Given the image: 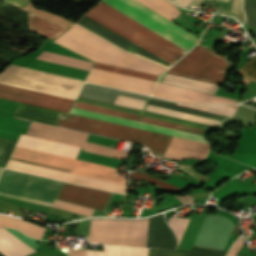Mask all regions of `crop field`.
I'll list each match as a JSON object with an SVG mask.
<instances>
[{"label": "crop field", "instance_id": "crop-field-1", "mask_svg": "<svg viewBox=\"0 0 256 256\" xmlns=\"http://www.w3.org/2000/svg\"><path fill=\"white\" fill-rule=\"evenodd\" d=\"M61 113L19 103L13 116L57 125ZM58 124L67 128L144 144L159 155H163L171 139L170 136L76 115H71L64 120L60 119Z\"/></svg>", "mask_w": 256, "mask_h": 256}, {"label": "crop field", "instance_id": "crop-field-2", "mask_svg": "<svg viewBox=\"0 0 256 256\" xmlns=\"http://www.w3.org/2000/svg\"><path fill=\"white\" fill-rule=\"evenodd\" d=\"M85 15L172 65L186 53L185 50L102 1Z\"/></svg>", "mask_w": 256, "mask_h": 256}, {"label": "crop field", "instance_id": "crop-field-3", "mask_svg": "<svg viewBox=\"0 0 256 256\" xmlns=\"http://www.w3.org/2000/svg\"><path fill=\"white\" fill-rule=\"evenodd\" d=\"M54 42L92 60L160 76L166 71L157 65L125 53L84 29L73 26Z\"/></svg>", "mask_w": 256, "mask_h": 256}, {"label": "crop field", "instance_id": "crop-field-4", "mask_svg": "<svg viewBox=\"0 0 256 256\" xmlns=\"http://www.w3.org/2000/svg\"><path fill=\"white\" fill-rule=\"evenodd\" d=\"M0 82L71 98L75 97L82 83L81 80L14 65H10L2 73H0Z\"/></svg>", "mask_w": 256, "mask_h": 256}, {"label": "crop field", "instance_id": "crop-field-5", "mask_svg": "<svg viewBox=\"0 0 256 256\" xmlns=\"http://www.w3.org/2000/svg\"><path fill=\"white\" fill-rule=\"evenodd\" d=\"M61 181L4 170L0 178V192L53 203ZM0 193V196L51 206L50 203Z\"/></svg>", "mask_w": 256, "mask_h": 256}, {"label": "crop field", "instance_id": "crop-field-6", "mask_svg": "<svg viewBox=\"0 0 256 256\" xmlns=\"http://www.w3.org/2000/svg\"><path fill=\"white\" fill-rule=\"evenodd\" d=\"M161 36L185 50H189L198 40L177 25L169 22L134 0H103ZM176 45V46H177ZM181 48V49H182ZM186 51V52H187Z\"/></svg>", "mask_w": 256, "mask_h": 256}, {"label": "crop field", "instance_id": "crop-field-7", "mask_svg": "<svg viewBox=\"0 0 256 256\" xmlns=\"http://www.w3.org/2000/svg\"><path fill=\"white\" fill-rule=\"evenodd\" d=\"M227 70V60L196 45L185 57L175 64L168 73L220 84Z\"/></svg>", "mask_w": 256, "mask_h": 256}, {"label": "crop field", "instance_id": "crop-field-8", "mask_svg": "<svg viewBox=\"0 0 256 256\" xmlns=\"http://www.w3.org/2000/svg\"><path fill=\"white\" fill-rule=\"evenodd\" d=\"M149 219L139 221L92 220L89 241L146 247Z\"/></svg>", "mask_w": 256, "mask_h": 256}, {"label": "crop field", "instance_id": "crop-field-9", "mask_svg": "<svg viewBox=\"0 0 256 256\" xmlns=\"http://www.w3.org/2000/svg\"><path fill=\"white\" fill-rule=\"evenodd\" d=\"M14 157L41 162L49 165L70 169L69 172L86 175L91 177L102 178L118 183L126 184L125 176L117 173L116 169L69 158L41 151L31 150L22 147H16Z\"/></svg>", "mask_w": 256, "mask_h": 256}, {"label": "crop field", "instance_id": "crop-field-10", "mask_svg": "<svg viewBox=\"0 0 256 256\" xmlns=\"http://www.w3.org/2000/svg\"><path fill=\"white\" fill-rule=\"evenodd\" d=\"M30 129L35 130V131L44 132V133L53 134V135L72 138V139H76V140H81V141H84L87 136L86 133L72 131V130H68V129H63V128L40 124V123H35V122L32 123ZM31 130H28V132H27L28 135L45 138V139H49V140H53V141H57V142H62V143H66V144H70V145H74V146H78V147H83V149L89 150V151L108 154V155L117 156V157H121V158H124V156L127 153V152L115 150L112 148H107V147H103V146H99V145H94V144H90V143H85V142H81V141L63 138V137L53 136V135L35 132V131H31Z\"/></svg>", "mask_w": 256, "mask_h": 256}, {"label": "crop field", "instance_id": "crop-field-11", "mask_svg": "<svg viewBox=\"0 0 256 256\" xmlns=\"http://www.w3.org/2000/svg\"><path fill=\"white\" fill-rule=\"evenodd\" d=\"M0 98L69 112L74 100L0 84Z\"/></svg>", "mask_w": 256, "mask_h": 256}, {"label": "crop field", "instance_id": "crop-field-12", "mask_svg": "<svg viewBox=\"0 0 256 256\" xmlns=\"http://www.w3.org/2000/svg\"><path fill=\"white\" fill-rule=\"evenodd\" d=\"M233 227L234 225L229 219L220 215H209L206 217L194 245L223 249Z\"/></svg>", "mask_w": 256, "mask_h": 256}, {"label": "crop field", "instance_id": "crop-field-13", "mask_svg": "<svg viewBox=\"0 0 256 256\" xmlns=\"http://www.w3.org/2000/svg\"><path fill=\"white\" fill-rule=\"evenodd\" d=\"M86 81L149 95L155 82L92 68Z\"/></svg>", "mask_w": 256, "mask_h": 256}, {"label": "crop field", "instance_id": "crop-field-14", "mask_svg": "<svg viewBox=\"0 0 256 256\" xmlns=\"http://www.w3.org/2000/svg\"><path fill=\"white\" fill-rule=\"evenodd\" d=\"M110 195L111 193L64 182L56 198L103 210Z\"/></svg>", "mask_w": 256, "mask_h": 256}, {"label": "crop field", "instance_id": "crop-field-15", "mask_svg": "<svg viewBox=\"0 0 256 256\" xmlns=\"http://www.w3.org/2000/svg\"><path fill=\"white\" fill-rule=\"evenodd\" d=\"M33 166H30L29 164L20 163V162L10 160L6 168L21 171V172H25V173L27 172L29 167L36 168V169L43 168V167L37 168L38 166L37 167H33ZM32 168L29 169V171H28L29 174H34V175H38V176H43V177H47V178H52V179H57V180H61V181L71 182V183H75V184H80V185L95 187V188H99V189L114 191V192L123 193V194H125V191H126V189H124V188L115 187L116 185L126 187L125 185H121V184H116V183H112V182H107V181H103V180L94 179V180L103 181V182H107V183H111V184H116L115 186H110L111 184L106 185L107 183L106 184H101L102 182L101 183H96L98 181L92 182L94 180L87 181L89 179H93V178H89V177H85V178H89V179L83 180L85 178H83V179H78V178H81V177H84V176H81V177H78V178H73V177L80 176V175L69 177V176H72V175H75V174H72V175H69V176H64V175H68V174H71V173L60 175V174L66 173V172H63V173H60V174H55V173H59V172H62V171L55 172V173H50V172H54V171H50L52 169L46 170L48 168L41 169V170H46V171H50V172L36 170V169H32ZM55 171H57V170H55Z\"/></svg>", "mask_w": 256, "mask_h": 256}, {"label": "crop field", "instance_id": "crop-field-16", "mask_svg": "<svg viewBox=\"0 0 256 256\" xmlns=\"http://www.w3.org/2000/svg\"><path fill=\"white\" fill-rule=\"evenodd\" d=\"M70 113L82 115V116H87L91 118H96L104 121H109V122H114V123H119L123 125H128V126H133V127H138L142 129H147L175 137H180V138H185V139H190V140H195V141H200V142H206L204 136L197 135V134H192V133H187L183 131H178V130H173L169 128H164V127H159L155 125H150V124H145L141 122H135L131 120H126V119H121L117 117H112V116H107L103 114H98V113H93L89 111H84V110H79L75 108H71Z\"/></svg>", "mask_w": 256, "mask_h": 256}, {"label": "crop field", "instance_id": "crop-field-17", "mask_svg": "<svg viewBox=\"0 0 256 256\" xmlns=\"http://www.w3.org/2000/svg\"><path fill=\"white\" fill-rule=\"evenodd\" d=\"M148 105L166 108V109H170V110H175V111H179V112H184V113H188V114L198 115V116L216 119V120H220V121H222L224 118H226L225 116H220V115L206 113V112H202V111L173 106V105L160 103V102H156V101H152V100H149ZM148 105L146 106L145 110L151 111V112H156V113H160V114H165V115H169V116H173V117H178V118H182V119L192 120V121L206 123V124L215 125V126H219V124L221 123L220 121H216V120H211V119H207V118L188 115V114L170 111V110H166V109L156 108V107H152V106H148Z\"/></svg>", "mask_w": 256, "mask_h": 256}, {"label": "crop field", "instance_id": "crop-field-18", "mask_svg": "<svg viewBox=\"0 0 256 256\" xmlns=\"http://www.w3.org/2000/svg\"><path fill=\"white\" fill-rule=\"evenodd\" d=\"M209 149L210 146L207 144L173 137L163 157L175 160L188 157L204 159Z\"/></svg>", "mask_w": 256, "mask_h": 256}, {"label": "crop field", "instance_id": "crop-field-19", "mask_svg": "<svg viewBox=\"0 0 256 256\" xmlns=\"http://www.w3.org/2000/svg\"><path fill=\"white\" fill-rule=\"evenodd\" d=\"M147 247L175 249L176 239L163 220V214L150 218Z\"/></svg>", "mask_w": 256, "mask_h": 256}, {"label": "crop field", "instance_id": "crop-field-20", "mask_svg": "<svg viewBox=\"0 0 256 256\" xmlns=\"http://www.w3.org/2000/svg\"><path fill=\"white\" fill-rule=\"evenodd\" d=\"M17 145L75 158L78 147L61 144L22 134Z\"/></svg>", "mask_w": 256, "mask_h": 256}, {"label": "crop field", "instance_id": "crop-field-21", "mask_svg": "<svg viewBox=\"0 0 256 256\" xmlns=\"http://www.w3.org/2000/svg\"><path fill=\"white\" fill-rule=\"evenodd\" d=\"M202 92L158 83L153 95L184 102H197Z\"/></svg>", "mask_w": 256, "mask_h": 256}, {"label": "crop field", "instance_id": "crop-field-22", "mask_svg": "<svg viewBox=\"0 0 256 256\" xmlns=\"http://www.w3.org/2000/svg\"><path fill=\"white\" fill-rule=\"evenodd\" d=\"M0 252L5 256H25L35 251L11 233L0 229Z\"/></svg>", "mask_w": 256, "mask_h": 256}, {"label": "crop field", "instance_id": "crop-field-23", "mask_svg": "<svg viewBox=\"0 0 256 256\" xmlns=\"http://www.w3.org/2000/svg\"><path fill=\"white\" fill-rule=\"evenodd\" d=\"M27 24L29 30L39 33L52 40L68 29V27L47 21L29 13L27 14Z\"/></svg>", "mask_w": 256, "mask_h": 256}, {"label": "crop field", "instance_id": "crop-field-24", "mask_svg": "<svg viewBox=\"0 0 256 256\" xmlns=\"http://www.w3.org/2000/svg\"><path fill=\"white\" fill-rule=\"evenodd\" d=\"M162 82L183 86L191 89H196L200 91H205L213 94L215 93L218 87V85L216 84L204 83V82L187 79L179 76L169 75V74H166Z\"/></svg>", "mask_w": 256, "mask_h": 256}, {"label": "crop field", "instance_id": "crop-field-25", "mask_svg": "<svg viewBox=\"0 0 256 256\" xmlns=\"http://www.w3.org/2000/svg\"><path fill=\"white\" fill-rule=\"evenodd\" d=\"M137 1L170 21L181 12L167 0H137Z\"/></svg>", "mask_w": 256, "mask_h": 256}, {"label": "crop field", "instance_id": "crop-field-26", "mask_svg": "<svg viewBox=\"0 0 256 256\" xmlns=\"http://www.w3.org/2000/svg\"><path fill=\"white\" fill-rule=\"evenodd\" d=\"M73 107L79 108V109H84V110H89V111H93V112L103 113V114H107V115L117 116V117H121V118L131 119V120H135V121H137L140 116V115L134 114V113L124 112V111H120V110L110 109V108L96 106V105L87 104V103H82V102H78V101L75 102Z\"/></svg>", "mask_w": 256, "mask_h": 256}, {"label": "crop field", "instance_id": "crop-field-27", "mask_svg": "<svg viewBox=\"0 0 256 256\" xmlns=\"http://www.w3.org/2000/svg\"><path fill=\"white\" fill-rule=\"evenodd\" d=\"M37 58L42 59V60L51 61V62L60 63V64H65V65H69V66H74V67H78V68H83V69H87V70H89L92 65L91 62L78 60V59H74V58H70V57H65V56H61V55H57V54H52V53H48V52H44V51H41V53L38 55Z\"/></svg>", "mask_w": 256, "mask_h": 256}, {"label": "crop field", "instance_id": "crop-field-28", "mask_svg": "<svg viewBox=\"0 0 256 256\" xmlns=\"http://www.w3.org/2000/svg\"><path fill=\"white\" fill-rule=\"evenodd\" d=\"M121 246L104 245L103 252L87 250L69 251V256H120Z\"/></svg>", "mask_w": 256, "mask_h": 256}, {"label": "crop field", "instance_id": "crop-field-29", "mask_svg": "<svg viewBox=\"0 0 256 256\" xmlns=\"http://www.w3.org/2000/svg\"><path fill=\"white\" fill-rule=\"evenodd\" d=\"M177 105L183 106V107H188V108H193V109H198V110H202V111L227 115V116L229 114H231L234 110V107L225 106V105L179 104V103H177Z\"/></svg>", "mask_w": 256, "mask_h": 256}, {"label": "crop field", "instance_id": "crop-field-30", "mask_svg": "<svg viewBox=\"0 0 256 256\" xmlns=\"http://www.w3.org/2000/svg\"><path fill=\"white\" fill-rule=\"evenodd\" d=\"M140 121L145 122V123L159 125V126L169 127V128H173V129L183 130V131H187V132L197 133V134H201V135H204V133H205V130L192 128V127H188V126H184V125H179V124H175V123H171V122H166V121H162V120H157V119H153V118H148V117H144V116L141 117Z\"/></svg>", "mask_w": 256, "mask_h": 256}, {"label": "crop field", "instance_id": "crop-field-31", "mask_svg": "<svg viewBox=\"0 0 256 256\" xmlns=\"http://www.w3.org/2000/svg\"><path fill=\"white\" fill-rule=\"evenodd\" d=\"M94 67L99 68V69L113 71V72L123 73V74H127V75L137 76V77H141V78L151 79V80H155V81H157L159 78V77H157L158 75L153 76V75L140 73V72H136V71H132V70H127V69H123V68H119V67H115V66H110V65H106V64H102V63H98V62L95 63Z\"/></svg>", "mask_w": 256, "mask_h": 256}, {"label": "crop field", "instance_id": "crop-field-32", "mask_svg": "<svg viewBox=\"0 0 256 256\" xmlns=\"http://www.w3.org/2000/svg\"><path fill=\"white\" fill-rule=\"evenodd\" d=\"M244 11L247 24L256 36V0H244Z\"/></svg>", "mask_w": 256, "mask_h": 256}, {"label": "crop field", "instance_id": "crop-field-33", "mask_svg": "<svg viewBox=\"0 0 256 256\" xmlns=\"http://www.w3.org/2000/svg\"><path fill=\"white\" fill-rule=\"evenodd\" d=\"M130 177L151 182L153 184H156V185H158L160 187H163V188L168 189V190L173 191V192H176V191L181 189L179 187H176L174 185H171L169 183L161 181V180H159L157 178H154V177L149 176L147 174H144L142 172L130 173Z\"/></svg>", "mask_w": 256, "mask_h": 256}, {"label": "crop field", "instance_id": "crop-field-34", "mask_svg": "<svg viewBox=\"0 0 256 256\" xmlns=\"http://www.w3.org/2000/svg\"><path fill=\"white\" fill-rule=\"evenodd\" d=\"M143 115L166 120V121H171V122H175V123H179V124H184V125H188V126H193V127H197V128H202V129H206V130L212 128V126L199 124V123H195V122H191V121H186V120H182V119H177V118L164 116V115H160V114H155V113H151V112H147V111H144Z\"/></svg>", "mask_w": 256, "mask_h": 256}, {"label": "crop field", "instance_id": "crop-field-35", "mask_svg": "<svg viewBox=\"0 0 256 256\" xmlns=\"http://www.w3.org/2000/svg\"><path fill=\"white\" fill-rule=\"evenodd\" d=\"M17 141L0 137V164L5 165Z\"/></svg>", "mask_w": 256, "mask_h": 256}, {"label": "crop field", "instance_id": "crop-field-36", "mask_svg": "<svg viewBox=\"0 0 256 256\" xmlns=\"http://www.w3.org/2000/svg\"><path fill=\"white\" fill-rule=\"evenodd\" d=\"M53 207L54 208H59V209H64V210H69V211H73V212H77V213H81V214H85V215H88V216H90V214L93 212V209H89V208H86V207H82V206H79V205H75V204L60 201V200H56Z\"/></svg>", "mask_w": 256, "mask_h": 256}, {"label": "crop field", "instance_id": "crop-field-37", "mask_svg": "<svg viewBox=\"0 0 256 256\" xmlns=\"http://www.w3.org/2000/svg\"><path fill=\"white\" fill-rule=\"evenodd\" d=\"M147 101L118 95L114 104L143 110Z\"/></svg>", "mask_w": 256, "mask_h": 256}, {"label": "crop field", "instance_id": "crop-field-38", "mask_svg": "<svg viewBox=\"0 0 256 256\" xmlns=\"http://www.w3.org/2000/svg\"><path fill=\"white\" fill-rule=\"evenodd\" d=\"M189 219L180 218V217H172L169 225L172 227L177 239L178 244L181 240V237L183 235V232L186 228V225L188 223Z\"/></svg>", "mask_w": 256, "mask_h": 256}, {"label": "crop field", "instance_id": "crop-field-39", "mask_svg": "<svg viewBox=\"0 0 256 256\" xmlns=\"http://www.w3.org/2000/svg\"><path fill=\"white\" fill-rule=\"evenodd\" d=\"M226 252L200 248V247H192L191 253L189 256H225Z\"/></svg>", "mask_w": 256, "mask_h": 256}, {"label": "crop field", "instance_id": "crop-field-40", "mask_svg": "<svg viewBox=\"0 0 256 256\" xmlns=\"http://www.w3.org/2000/svg\"><path fill=\"white\" fill-rule=\"evenodd\" d=\"M148 249L122 246L121 256H147Z\"/></svg>", "mask_w": 256, "mask_h": 256}, {"label": "crop field", "instance_id": "crop-field-41", "mask_svg": "<svg viewBox=\"0 0 256 256\" xmlns=\"http://www.w3.org/2000/svg\"><path fill=\"white\" fill-rule=\"evenodd\" d=\"M77 100L78 101H82V102L96 104V105L106 106V107H110V108L120 109V110H124V111L134 112V113H138V114L141 113L140 110H135V109H131V108L116 106V105H112V104H108V103H103V102H98V101L89 100V99H84V98H80V97H78Z\"/></svg>", "mask_w": 256, "mask_h": 256}, {"label": "crop field", "instance_id": "crop-field-42", "mask_svg": "<svg viewBox=\"0 0 256 256\" xmlns=\"http://www.w3.org/2000/svg\"><path fill=\"white\" fill-rule=\"evenodd\" d=\"M199 102H216V103H235V101L208 95V94H202Z\"/></svg>", "mask_w": 256, "mask_h": 256}, {"label": "crop field", "instance_id": "crop-field-43", "mask_svg": "<svg viewBox=\"0 0 256 256\" xmlns=\"http://www.w3.org/2000/svg\"><path fill=\"white\" fill-rule=\"evenodd\" d=\"M242 70L256 80V57L246 64Z\"/></svg>", "mask_w": 256, "mask_h": 256}, {"label": "crop field", "instance_id": "crop-field-44", "mask_svg": "<svg viewBox=\"0 0 256 256\" xmlns=\"http://www.w3.org/2000/svg\"><path fill=\"white\" fill-rule=\"evenodd\" d=\"M220 1L228 2V0H220ZM202 2L203 0H192L190 4L201 5ZM240 3H241V0H233L231 11L238 14L240 11Z\"/></svg>", "mask_w": 256, "mask_h": 256}, {"label": "crop field", "instance_id": "crop-field-45", "mask_svg": "<svg viewBox=\"0 0 256 256\" xmlns=\"http://www.w3.org/2000/svg\"><path fill=\"white\" fill-rule=\"evenodd\" d=\"M243 244H245V242L242 237H240L239 240L232 246L227 256H236L238 250Z\"/></svg>", "mask_w": 256, "mask_h": 256}, {"label": "crop field", "instance_id": "crop-field-46", "mask_svg": "<svg viewBox=\"0 0 256 256\" xmlns=\"http://www.w3.org/2000/svg\"><path fill=\"white\" fill-rule=\"evenodd\" d=\"M183 204H186V203H192L193 202V198L187 194L185 196H176Z\"/></svg>", "mask_w": 256, "mask_h": 256}, {"label": "crop field", "instance_id": "crop-field-47", "mask_svg": "<svg viewBox=\"0 0 256 256\" xmlns=\"http://www.w3.org/2000/svg\"><path fill=\"white\" fill-rule=\"evenodd\" d=\"M190 1L191 0H175V3H177L180 6H183V7L187 8Z\"/></svg>", "mask_w": 256, "mask_h": 256}, {"label": "crop field", "instance_id": "crop-field-48", "mask_svg": "<svg viewBox=\"0 0 256 256\" xmlns=\"http://www.w3.org/2000/svg\"><path fill=\"white\" fill-rule=\"evenodd\" d=\"M2 170H3V168L0 167V174H1Z\"/></svg>", "mask_w": 256, "mask_h": 256}, {"label": "crop field", "instance_id": "crop-field-49", "mask_svg": "<svg viewBox=\"0 0 256 256\" xmlns=\"http://www.w3.org/2000/svg\"><path fill=\"white\" fill-rule=\"evenodd\" d=\"M173 1V0H172Z\"/></svg>", "mask_w": 256, "mask_h": 256}]
</instances>
